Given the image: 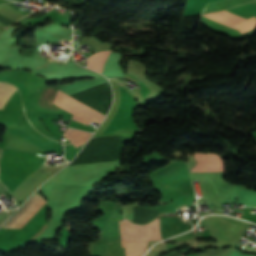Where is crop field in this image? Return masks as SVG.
I'll return each instance as SVG.
<instances>
[{
  "instance_id": "obj_14",
  "label": "crop field",
  "mask_w": 256,
  "mask_h": 256,
  "mask_svg": "<svg viewBox=\"0 0 256 256\" xmlns=\"http://www.w3.org/2000/svg\"><path fill=\"white\" fill-rule=\"evenodd\" d=\"M4 30V28L0 27V33Z\"/></svg>"
},
{
  "instance_id": "obj_5",
  "label": "crop field",
  "mask_w": 256,
  "mask_h": 256,
  "mask_svg": "<svg viewBox=\"0 0 256 256\" xmlns=\"http://www.w3.org/2000/svg\"><path fill=\"white\" fill-rule=\"evenodd\" d=\"M111 51L99 52L88 59V68L102 72L105 61Z\"/></svg>"
},
{
  "instance_id": "obj_15",
  "label": "crop field",
  "mask_w": 256,
  "mask_h": 256,
  "mask_svg": "<svg viewBox=\"0 0 256 256\" xmlns=\"http://www.w3.org/2000/svg\"><path fill=\"white\" fill-rule=\"evenodd\" d=\"M119 85H121V86H122V84H119Z\"/></svg>"
},
{
  "instance_id": "obj_1",
  "label": "crop field",
  "mask_w": 256,
  "mask_h": 256,
  "mask_svg": "<svg viewBox=\"0 0 256 256\" xmlns=\"http://www.w3.org/2000/svg\"><path fill=\"white\" fill-rule=\"evenodd\" d=\"M124 242L162 239L159 230V219L146 224L135 225L123 219ZM148 241L125 243L126 256H142Z\"/></svg>"
},
{
  "instance_id": "obj_11",
  "label": "crop field",
  "mask_w": 256,
  "mask_h": 256,
  "mask_svg": "<svg viewBox=\"0 0 256 256\" xmlns=\"http://www.w3.org/2000/svg\"><path fill=\"white\" fill-rule=\"evenodd\" d=\"M110 226H111V244L114 245V227H113L112 221L110 222Z\"/></svg>"
},
{
  "instance_id": "obj_3",
  "label": "crop field",
  "mask_w": 256,
  "mask_h": 256,
  "mask_svg": "<svg viewBox=\"0 0 256 256\" xmlns=\"http://www.w3.org/2000/svg\"><path fill=\"white\" fill-rule=\"evenodd\" d=\"M198 164L192 169L195 172L225 171L224 163L219 155L213 153H195Z\"/></svg>"
},
{
  "instance_id": "obj_16",
  "label": "crop field",
  "mask_w": 256,
  "mask_h": 256,
  "mask_svg": "<svg viewBox=\"0 0 256 256\" xmlns=\"http://www.w3.org/2000/svg\"><path fill=\"white\" fill-rule=\"evenodd\" d=\"M14 210V209H13Z\"/></svg>"
},
{
  "instance_id": "obj_7",
  "label": "crop field",
  "mask_w": 256,
  "mask_h": 256,
  "mask_svg": "<svg viewBox=\"0 0 256 256\" xmlns=\"http://www.w3.org/2000/svg\"><path fill=\"white\" fill-rule=\"evenodd\" d=\"M17 88L10 83L0 82V109Z\"/></svg>"
},
{
  "instance_id": "obj_9",
  "label": "crop field",
  "mask_w": 256,
  "mask_h": 256,
  "mask_svg": "<svg viewBox=\"0 0 256 256\" xmlns=\"http://www.w3.org/2000/svg\"><path fill=\"white\" fill-rule=\"evenodd\" d=\"M256 24V16L252 17L244 22H241L237 25H234L232 27L240 30L241 32H244L246 30H249L250 28H252L254 25Z\"/></svg>"
},
{
  "instance_id": "obj_10",
  "label": "crop field",
  "mask_w": 256,
  "mask_h": 256,
  "mask_svg": "<svg viewBox=\"0 0 256 256\" xmlns=\"http://www.w3.org/2000/svg\"><path fill=\"white\" fill-rule=\"evenodd\" d=\"M9 217L8 212L0 213V225Z\"/></svg>"
},
{
  "instance_id": "obj_8",
  "label": "crop field",
  "mask_w": 256,
  "mask_h": 256,
  "mask_svg": "<svg viewBox=\"0 0 256 256\" xmlns=\"http://www.w3.org/2000/svg\"><path fill=\"white\" fill-rule=\"evenodd\" d=\"M0 14L14 22L24 16L6 5L0 7Z\"/></svg>"
},
{
  "instance_id": "obj_2",
  "label": "crop field",
  "mask_w": 256,
  "mask_h": 256,
  "mask_svg": "<svg viewBox=\"0 0 256 256\" xmlns=\"http://www.w3.org/2000/svg\"><path fill=\"white\" fill-rule=\"evenodd\" d=\"M54 104L73 114L72 120L82 122L86 125L93 120L100 124L104 114L86 106L85 104L71 98L69 95L57 91Z\"/></svg>"
},
{
  "instance_id": "obj_12",
  "label": "crop field",
  "mask_w": 256,
  "mask_h": 256,
  "mask_svg": "<svg viewBox=\"0 0 256 256\" xmlns=\"http://www.w3.org/2000/svg\"><path fill=\"white\" fill-rule=\"evenodd\" d=\"M6 189V187L0 182V194L3 193Z\"/></svg>"
},
{
  "instance_id": "obj_6",
  "label": "crop field",
  "mask_w": 256,
  "mask_h": 256,
  "mask_svg": "<svg viewBox=\"0 0 256 256\" xmlns=\"http://www.w3.org/2000/svg\"><path fill=\"white\" fill-rule=\"evenodd\" d=\"M63 135H65L77 148L88 139L91 133L68 128Z\"/></svg>"
},
{
  "instance_id": "obj_4",
  "label": "crop field",
  "mask_w": 256,
  "mask_h": 256,
  "mask_svg": "<svg viewBox=\"0 0 256 256\" xmlns=\"http://www.w3.org/2000/svg\"><path fill=\"white\" fill-rule=\"evenodd\" d=\"M39 196L34 195L4 226L10 227L22 214L23 212L38 198ZM44 200L40 197L25 211V213L11 226L19 228L24 221L37 209V207ZM45 203V201L39 206V208L26 220V222L40 209V207ZM25 222V223H26ZM24 223V224H25ZM23 224V225H24ZM22 225V226H23ZM21 226V227H22ZM20 227V228H21Z\"/></svg>"
},
{
  "instance_id": "obj_13",
  "label": "crop field",
  "mask_w": 256,
  "mask_h": 256,
  "mask_svg": "<svg viewBox=\"0 0 256 256\" xmlns=\"http://www.w3.org/2000/svg\"><path fill=\"white\" fill-rule=\"evenodd\" d=\"M2 152H3V150H2V149H0V158H1V156H2Z\"/></svg>"
}]
</instances>
